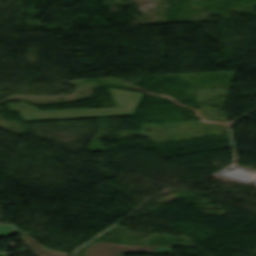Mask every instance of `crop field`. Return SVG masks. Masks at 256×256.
<instances>
[{"label":"crop field","instance_id":"crop-field-3","mask_svg":"<svg viewBox=\"0 0 256 256\" xmlns=\"http://www.w3.org/2000/svg\"><path fill=\"white\" fill-rule=\"evenodd\" d=\"M15 233L16 231L13 227L9 225H0V236H11Z\"/></svg>","mask_w":256,"mask_h":256},{"label":"crop field","instance_id":"crop-field-2","mask_svg":"<svg viewBox=\"0 0 256 256\" xmlns=\"http://www.w3.org/2000/svg\"><path fill=\"white\" fill-rule=\"evenodd\" d=\"M19 233L24 238L26 244L34 251L38 256H69V254H63L59 252H54L41 245H39L34 239H32L27 233L19 231Z\"/></svg>","mask_w":256,"mask_h":256},{"label":"crop field","instance_id":"crop-field-1","mask_svg":"<svg viewBox=\"0 0 256 256\" xmlns=\"http://www.w3.org/2000/svg\"><path fill=\"white\" fill-rule=\"evenodd\" d=\"M123 253L169 254L170 247H124L113 243H92L84 248V256H123Z\"/></svg>","mask_w":256,"mask_h":256}]
</instances>
